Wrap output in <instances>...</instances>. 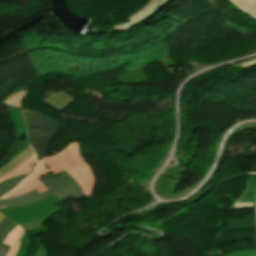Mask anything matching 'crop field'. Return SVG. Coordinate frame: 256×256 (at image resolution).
Masks as SVG:
<instances>
[{
	"mask_svg": "<svg viewBox=\"0 0 256 256\" xmlns=\"http://www.w3.org/2000/svg\"><path fill=\"white\" fill-rule=\"evenodd\" d=\"M54 158L81 185L84 195L91 198L95 177L92 169L81 157L79 143L70 144Z\"/></svg>",
	"mask_w": 256,
	"mask_h": 256,
	"instance_id": "obj_1",
	"label": "crop field"
},
{
	"mask_svg": "<svg viewBox=\"0 0 256 256\" xmlns=\"http://www.w3.org/2000/svg\"><path fill=\"white\" fill-rule=\"evenodd\" d=\"M39 180L50 190L49 193L45 194L44 196L38 199L29 201L24 204L9 206V207H0V209L20 207L23 205L32 204L34 202L42 200L43 198L47 197L51 193H53L54 196L59 201H62L68 198H72L75 200L83 198V192L81 187L65 171L56 173L54 175L50 174L48 176L39 178Z\"/></svg>",
	"mask_w": 256,
	"mask_h": 256,
	"instance_id": "obj_2",
	"label": "crop field"
},
{
	"mask_svg": "<svg viewBox=\"0 0 256 256\" xmlns=\"http://www.w3.org/2000/svg\"><path fill=\"white\" fill-rule=\"evenodd\" d=\"M59 171H63V169L57 164L52 156L44 158L35 164L32 173L17 188L3 196L1 199L17 196L34 188H36L41 193L47 190V188L37 178L48 175L50 173L54 174Z\"/></svg>",
	"mask_w": 256,
	"mask_h": 256,
	"instance_id": "obj_3",
	"label": "crop field"
},
{
	"mask_svg": "<svg viewBox=\"0 0 256 256\" xmlns=\"http://www.w3.org/2000/svg\"><path fill=\"white\" fill-rule=\"evenodd\" d=\"M27 123L28 138L37 155V160L45 157L49 148V144L59 128Z\"/></svg>",
	"mask_w": 256,
	"mask_h": 256,
	"instance_id": "obj_4",
	"label": "crop field"
},
{
	"mask_svg": "<svg viewBox=\"0 0 256 256\" xmlns=\"http://www.w3.org/2000/svg\"><path fill=\"white\" fill-rule=\"evenodd\" d=\"M58 202L59 201L52 194L47 198L43 199L42 201L34 203L33 205L24 206L20 208L7 209V210H0V213L5 215L11 221H13L23 217L37 215L53 207Z\"/></svg>",
	"mask_w": 256,
	"mask_h": 256,
	"instance_id": "obj_5",
	"label": "crop field"
},
{
	"mask_svg": "<svg viewBox=\"0 0 256 256\" xmlns=\"http://www.w3.org/2000/svg\"><path fill=\"white\" fill-rule=\"evenodd\" d=\"M249 238H254L253 225L221 229L216 238V243L221 245Z\"/></svg>",
	"mask_w": 256,
	"mask_h": 256,
	"instance_id": "obj_6",
	"label": "crop field"
},
{
	"mask_svg": "<svg viewBox=\"0 0 256 256\" xmlns=\"http://www.w3.org/2000/svg\"><path fill=\"white\" fill-rule=\"evenodd\" d=\"M73 100L74 99L72 96L68 95L64 91H60L56 94L46 97L42 101L59 111H63Z\"/></svg>",
	"mask_w": 256,
	"mask_h": 256,
	"instance_id": "obj_7",
	"label": "crop field"
},
{
	"mask_svg": "<svg viewBox=\"0 0 256 256\" xmlns=\"http://www.w3.org/2000/svg\"><path fill=\"white\" fill-rule=\"evenodd\" d=\"M33 154L34 152L31 146L27 147L24 151H22L9 163H7L5 166L0 168V177L12 171L14 168H16L18 165H20L22 162H24L27 158H29Z\"/></svg>",
	"mask_w": 256,
	"mask_h": 256,
	"instance_id": "obj_8",
	"label": "crop field"
},
{
	"mask_svg": "<svg viewBox=\"0 0 256 256\" xmlns=\"http://www.w3.org/2000/svg\"><path fill=\"white\" fill-rule=\"evenodd\" d=\"M22 114L26 121L33 122V123H39V124H45V125H51V126H58V121L54 120L52 118H49L41 113L32 111V110H23Z\"/></svg>",
	"mask_w": 256,
	"mask_h": 256,
	"instance_id": "obj_9",
	"label": "crop field"
},
{
	"mask_svg": "<svg viewBox=\"0 0 256 256\" xmlns=\"http://www.w3.org/2000/svg\"><path fill=\"white\" fill-rule=\"evenodd\" d=\"M10 114V118L15 127L16 139L20 138L22 135L26 133L25 123L20 113L19 108L7 106Z\"/></svg>",
	"mask_w": 256,
	"mask_h": 256,
	"instance_id": "obj_10",
	"label": "crop field"
},
{
	"mask_svg": "<svg viewBox=\"0 0 256 256\" xmlns=\"http://www.w3.org/2000/svg\"><path fill=\"white\" fill-rule=\"evenodd\" d=\"M24 230L20 227H15L10 234L4 240V243L12 246L6 256H15L20 245L21 236L24 234Z\"/></svg>",
	"mask_w": 256,
	"mask_h": 256,
	"instance_id": "obj_11",
	"label": "crop field"
},
{
	"mask_svg": "<svg viewBox=\"0 0 256 256\" xmlns=\"http://www.w3.org/2000/svg\"><path fill=\"white\" fill-rule=\"evenodd\" d=\"M47 192L48 191L40 194L36 189H34V190H32L26 194H22L18 197L0 200V206H9V205L20 204V203L35 199L37 197H40Z\"/></svg>",
	"mask_w": 256,
	"mask_h": 256,
	"instance_id": "obj_12",
	"label": "crop field"
},
{
	"mask_svg": "<svg viewBox=\"0 0 256 256\" xmlns=\"http://www.w3.org/2000/svg\"><path fill=\"white\" fill-rule=\"evenodd\" d=\"M13 223H11L9 220L4 218L0 222V256H5L6 253L9 251L10 246L3 244V240L7 236L8 233L15 227Z\"/></svg>",
	"mask_w": 256,
	"mask_h": 256,
	"instance_id": "obj_13",
	"label": "crop field"
},
{
	"mask_svg": "<svg viewBox=\"0 0 256 256\" xmlns=\"http://www.w3.org/2000/svg\"><path fill=\"white\" fill-rule=\"evenodd\" d=\"M35 161L36 156L34 154L28 160L22 163L19 167H17L15 170L0 178V182L16 175L28 173L30 171L31 166L35 163Z\"/></svg>",
	"mask_w": 256,
	"mask_h": 256,
	"instance_id": "obj_14",
	"label": "crop field"
},
{
	"mask_svg": "<svg viewBox=\"0 0 256 256\" xmlns=\"http://www.w3.org/2000/svg\"><path fill=\"white\" fill-rule=\"evenodd\" d=\"M28 174L16 176L5 180L0 183V197L5 193L11 191L16 185H18Z\"/></svg>",
	"mask_w": 256,
	"mask_h": 256,
	"instance_id": "obj_15",
	"label": "crop field"
},
{
	"mask_svg": "<svg viewBox=\"0 0 256 256\" xmlns=\"http://www.w3.org/2000/svg\"><path fill=\"white\" fill-rule=\"evenodd\" d=\"M256 193V179L253 177H249L248 179V188L243 193L238 202H254Z\"/></svg>",
	"mask_w": 256,
	"mask_h": 256,
	"instance_id": "obj_16",
	"label": "crop field"
},
{
	"mask_svg": "<svg viewBox=\"0 0 256 256\" xmlns=\"http://www.w3.org/2000/svg\"><path fill=\"white\" fill-rule=\"evenodd\" d=\"M60 210H61V208H59V207L56 205L54 208H52V209H50V210H48V211H46V212H44V213H42V214H39V215H37V216H34V217H27V218H23V219H20V220L13 221V222L17 223L18 225L26 224V223H31V222H35V221H38V220H40V219L49 217V216H51V215H53V214L59 212ZM17 224H16V225H17Z\"/></svg>",
	"mask_w": 256,
	"mask_h": 256,
	"instance_id": "obj_17",
	"label": "crop field"
},
{
	"mask_svg": "<svg viewBox=\"0 0 256 256\" xmlns=\"http://www.w3.org/2000/svg\"><path fill=\"white\" fill-rule=\"evenodd\" d=\"M28 91L29 90H23V91L14 93V94H10L1 103L5 104V105H11V106L20 108L21 102L24 99V97L26 96V94L28 93Z\"/></svg>",
	"mask_w": 256,
	"mask_h": 256,
	"instance_id": "obj_18",
	"label": "crop field"
},
{
	"mask_svg": "<svg viewBox=\"0 0 256 256\" xmlns=\"http://www.w3.org/2000/svg\"><path fill=\"white\" fill-rule=\"evenodd\" d=\"M242 13H246L256 5V0H227Z\"/></svg>",
	"mask_w": 256,
	"mask_h": 256,
	"instance_id": "obj_19",
	"label": "crop field"
},
{
	"mask_svg": "<svg viewBox=\"0 0 256 256\" xmlns=\"http://www.w3.org/2000/svg\"><path fill=\"white\" fill-rule=\"evenodd\" d=\"M224 256H256V251L255 249H245L241 251H235Z\"/></svg>",
	"mask_w": 256,
	"mask_h": 256,
	"instance_id": "obj_20",
	"label": "crop field"
},
{
	"mask_svg": "<svg viewBox=\"0 0 256 256\" xmlns=\"http://www.w3.org/2000/svg\"><path fill=\"white\" fill-rule=\"evenodd\" d=\"M36 242H37L38 248L34 252L33 256H47L45 248H43L41 245L42 239H40Z\"/></svg>",
	"mask_w": 256,
	"mask_h": 256,
	"instance_id": "obj_21",
	"label": "crop field"
},
{
	"mask_svg": "<svg viewBox=\"0 0 256 256\" xmlns=\"http://www.w3.org/2000/svg\"><path fill=\"white\" fill-rule=\"evenodd\" d=\"M246 15L250 16L251 18H253L254 20H256V7L254 9H252L249 13H247Z\"/></svg>",
	"mask_w": 256,
	"mask_h": 256,
	"instance_id": "obj_22",
	"label": "crop field"
},
{
	"mask_svg": "<svg viewBox=\"0 0 256 256\" xmlns=\"http://www.w3.org/2000/svg\"><path fill=\"white\" fill-rule=\"evenodd\" d=\"M166 0H161L157 6H159L160 4L164 3Z\"/></svg>",
	"mask_w": 256,
	"mask_h": 256,
	"instance_id": "obj_23",
	"label": "crop field"
},
{
	"mask_svg": "<svg viewBox=\"0 0 256 256\" xmlns=\"http://www.w3.org/2000/svg\"><path fill=\"white\" fill-rule=\"evenodd\" d=\"M4 217L0 215V221L3 219Z\"/></svg>",
	"mask_w": 256,
	"mask_h": 256,
	"instance_id": "obj_24",
	"label": "crop field"
}]
</instances>
